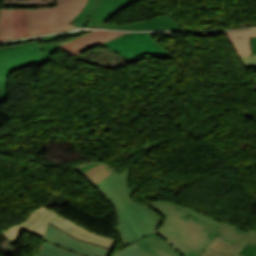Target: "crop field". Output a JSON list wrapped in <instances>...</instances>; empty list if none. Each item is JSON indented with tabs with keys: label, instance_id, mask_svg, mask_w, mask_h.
I'll return each mask as SVG.
<instances>
[{
	"label": "crop field",
	"instance_id": "crop-field-24",
	"mask_svg": "<svg viewBox=\"0 0 256 256\" xmlns=\"http://www.w3.org/2000/svg\"><path fill=\"white\" fill-rule=\"evenodd\" d=\"M254 36H256V28L252 29L251 37H254Z\"/></svg>",
	"mask_w": 256,
	"mask_h": 256
},
{
	"label": "crop field",
	"instance_id": "crop-field-4",
	"mask_svg": "<svg viewBox=\"0 0 256 256\" xmlns=\"http://www.w3.org/2000/svg\"><path fill=\"white\" fill-rule=\"evenodd\" d=\"M40 37L0 44V104L8 96V76L18 68L42 63Z\"/></svg>",
	"mask_w": 256,
	"mask_h": 256
},
{
	"label": "crop field",
	"instance_id": "crop-field-13",
	"mask_svg": "<svg viewBox=\"0 0 256 256\" xmlns=\"http://www.w3.org/2000/svg\"><path fill=\"white\" fill-rule=\"evenodd\" d=\"M92 185L106 177L113 170L104 162H90L75 168Z\"/></svg>",
	"mask_w": 256,
	"mask_h": 256
},
{
	"label": "crop field",
	"instance_id": "crop-field-8",
	"mask_svg": "<svg viewBox=\"0 0 256 256\" xmlns=\"http://www.w3.org/2000/svg\"><path fill=\"white\" fill-rule=\"evenodd\" d=\"M56 245L66 248L70 251L86 256H109L112 250L102 248L81 240H78L63 231L48 225L47 234L44 238Z\"/></svg>",
	"mask_w": 256,
	"mask_h": 256
},
{
	"label": "crop field",
	"instance_id": "crop-field-11",
	"mask_svg": "<svg viewBox=\"0 0 256 256\" xmlns=\"http://www.w3.org/2000/svg\"><path fill=\"white\" fill-rule=\"evenodd\" d=\"M49 224L63 230L64 232L76 238H79L81 240H84L102 247L113 249V246L116 241L115 239L95 234L81 227L80 225L70 221L69 219L63 217L60 214L54 217Z\"/></svg>",
	"mask_w": 256,
	"mask_h": 256
},
{
	"label": "crop field",
	"instance_id": "crop-field-2",
	"mask_svg": "<svg viewBox=\"0 0 256 256\" xmlns=\"http://www.w3.org/2000/svg\"><path fill=\"white\" fill-rule=\"evenodd\" d=\"M129 170L121 175L114 171L94 186L116 208L120 238L126 246L154 232L129 197Z\"/></svg>",
	"mask_w": 256,
	"mask_h": 256
},
{
	"label": "crop field",
	"instance_id": "crop-field-12",
	"mask_svg": "<svg viewBox=\"0 0 256 256\" xmlns=\"http://www.w3.org/2000/svg\"><path fill=\"white\" fill-rule=\"evenodd\" d=\"M248 242L256 245L255 230L250 229L249 232H247L243 237H241L233 245L217 236L204 250L208 251L209 249H211L218 253L237 254L243 249V247Z\"/></svg>",
	"mask_w": 256,
	"mask_h": 256
},
{
	"label": "crop field",
	"instance_id": "crop-field-5",
	"mask_svg": "<svg viewBox=\"0 0 256 256\" xmlns=\"http://www.w3.org/2000/svg\"><path fill=\"white\" fill-rule=\"evenodd\" d=\"M47 8L27 9L30 36L75 28L67 22L74 18L87 0H55Z\"/></svg>",
	"mask_w": 256,
	"mask_h": 256
},
{
	"label": "crop field",
	"instance_id": "crop-field-9",
	"mask_svg": "<svg viewBox=\"0 0 256 256\" xmlns=\"http://www.w3.org/2000/svg\"><path fill=\"white\" fill-rule=\"evenodd\" d=\"M57 213L42 207L31 212L29 219L10 227L3 231L1 234L13 245L16 243L21 229L28 231L40 238H43L45 226Z\"/></svg>",
	"mask_w": 256,
	"mask_h": 256
},
{
	"label": "crop field",
	"instance_id": "crop-field-21",
	"mask_svg": "<svg viewBox=\"0 0 256 256\" xmlns=\"http://www.w3.org/2000/svg\"><path fill=\"white\" fill-rule=\"evenodd\" d=\"M239 254H244V256H256V246L248 243Z\"/></svg>",
	"mask_w": 256,
	"mask_h": 256
},
{
	"label": "crop field",
	"instance_id": "crop-field-10",
	"mask_svg": "<svg viewBox=\"0 0 256 256\" xmlns=\"http://www.w3.org/2000/svg\"><path fill=\"white\" fill-rule=\"evenodd\" d=\"M123 34L122 32L92 30L78 38L71 39L67 42L60 43L59 46L65 52L73 57L93 48L97 44H101L107 40L117 38Z\"/></svg>",
	"mask_w": 256,
	"mask_h": 256
},
{
	"label": "crop field",
	"instance_id": "crop-field-23",
	"mask_svg": "<svg viewBox=\"0 0 256 256\" xmlns=\"http://www.w3.org/2000/svg\"><path fill=\"white\" fill-rule=\"evenodd\" d=\"M250 44H251V48H252V55L256 54V37L251 38Z\"/></svg>",
	"mask_w": 256,
	"mask_h": 256
},
{
	"label": "crop field",
	"instance_id": "crop-field-16",
	"mask_svg": "<svg viewBox=\"0 0 256 256\" xmlns=\"http://www.w3.org/2000/svg\"><path fill=\"white\" fill-rule=\"evenodd\" d=\"M14 38L12 30V8L0 9V40Z\"/></svg>",
	"mask_w": 256,
	"mask_h": 256
},
{
	"label": "crop field",
	"instance_id": "crop-field-3",
	"mask_svg": "<svg viewBox=\"0 0 256 256\" xmlns=\"http://www.w3.org/2000/svg\"><path fill=\"white\" fill-rule=\"evenodd\" d=\"M136 2L135 0H88L83 10L69 23L79 27L109 28L118 30H180V27L168 17L159 16L143 22L127 25L104 24L120 9Z\"/></svg>",
	"mask_w": 256,
	"mask_h": 256
},
{
	"label": "crop field",
	"instance_id": "crop-field-14",
	"mask_svg": "<svg viewBox=\"0 0 256 256\" xmlns=\"http://www.w3.org/2000/svg\"><path fill=\"white\" fill-rule=\"evenodd\" d=\"M225 33L236 49L239 57L251 55V48L249 44L251 30Z\"/></svg>",
	"mask_w": 256,
	"mask_h": 256
},
{
	"label": "crop field",
	"instance_id": "crop-field-15",
	"mask_svg": "<svg viewBox=\"0 0 256 256\" xmlns=\"http://www.w3.org/2000/svg\"><path fill=\"white\" fill-rule=\"evenodd\" d=\"M13 29L15 38L29 36L26 9L13 8Z\"/></svg>",
	"mask_w": 256,
	"mask_h": 256
},
{
	"label": "crop field",
	"instance_id": "crop-field-20",
	"mask_svg": "<svg viewBox=\"0 0 256 256\" xmlns=\"http://www.w3.org/2000/svg\"><path fill=\"white\" fill-rule=\"evenodd\" d=\"M246 69L254 67L256 71V55L240 58Z\"/></svg>",
	"mask_w": 256,
	"mask_h": 256
},
{
	"label": "crop field",
	"instance_id": "crop-field-19",
	"mask_svg": "<svg viewBox=\"0 0 256 256\" xmlns=\"http://www.w3.org/2000/svg\"><path fill=\"white\" fill-rule=\"evenodd\" d=\"M81 32H74V33H64V34H58V35H52V36H48L42 39L43 42L45 41H53L59 38H64V37H68V36H73V35H78ZM55 45H57V43L54 42ZM55 45H42V50H43V55H44V61L45 63H48L51 55L53 54V52L55 50H57L59 47L55 46Z\"/></svg>",
	"mask_w": 256,
	"mask_h": 256
},
{
	"label": "crop field",
	"instance_id": "crop-field-7",
	"mask_svg": "<svg viewBox=\"0 0 256 256\" xmlns=\"http://www.w3.org/2000/svg\"><path fill=\"white\" fill-rule=\"evenodd\" d=\"M113 256H181L155 232L114 253Z\"/></svg>",
	"mask_w": 256,
	"mask_h": 256
},
{
	"label": "crop field",
	"instance_id": "crop-field-17",
	"mask_svg": "<svg viewBox=\"0 0 256 256\" xmlns=\"http://www.w3.org/2000/svg\"><path fill=\"white\" fill-rule=\"evenodd\" d=\"M44 246L37 256H82L59 246H56L46 240H43Z\"/></svg>",
	"mask_w": 256,
	"mask_h": 256
},
{
	"label": "crop field",
	"instance_id": "crop-field-1",
	"mask_svg": "<svg viewBox=\"0 0 256 256\" xmlns=\"http://www.w3.org/2000/svg\"><path fill=\"white\" fill-rule=\"evenodd\" d=\"M148 206L164 218L155 231L183 256H199L217 235L233 244L247 232L173 202L155 200Z\"/></svg>",
	"mask_w": 256,
	"mask_h": 256
},
{
	"label": "crop field",
	"instance_id": "crop-field-22",
	"mask_svg": "<svg viewBox=\"0 0 256 256\" xmlns=\"http://www.w3.org/2000/svg\"><path fill=\"white\" fill-rule=\"evenodd\" d=\"M200 256H243V255H228V254H218L209 250L208 252L204 251Z\"/></svg>",
	"mask_w": 256,
	"mask_h": 256
},
{
	"label": "crop field",
	"instance_id": "crop-field-6",
	"mask_svg": "<svg viewBox=\"0 0 256 256\" xmlns=\"http://www.w3.org/2000/svg\"><path fill=\"white\" fill-rule=\"evenodd\" d=\"M101 46L130 59L145 53L157 58H174L168 51L154 42L150 33H128Z\"/></svg>",
	"mask_w": 256,
	"mask_h": 256
},
{
	"label": "crop field",
	"instance_id": "crop-field-18",
	"mask_svg": "<svg viewBox=\"0 0 256 256\" xmlns=\"http://www.w3.org/2000/svg\"><path fill=\"white\" fill-rule=\"evenodd\" d=\"M138 208L141 210L143 216L147 220L148 224L152 229H156L159 227L163 221L162 217H160L154 210L145 204L135 203Z\"/></svg>",
	"mask_w": 256,
	"mask_h": 256
}]
</instances>
